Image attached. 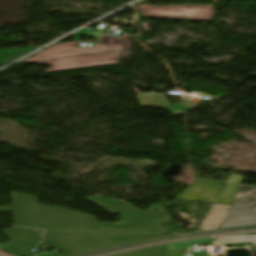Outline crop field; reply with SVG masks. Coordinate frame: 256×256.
Wrapping results in <instances>:
<instances>
[{"label":"crop field","mask_w":256,"mask_h":256,"mask_svg":"<svg viewBox=\"0 0 256 256\" xmlns=\"http://www.w3.org/2000/svg\"><path fill=\"white\" fill-rule=\"evenodd\" d=\"M12 197L13 206L0 207V212L14 211L15 223L18 226L82 230L92 229L97 220L89 214L37 204L35 197L31 195L13 192Z\"/></svg>","instance_id":"1"},{"label":"crop field","mask_w":256,"mask_h":256,"mask_svg":"<svg viewBox=\"0 0 256 256\" xmlns=\"http://www.w3.org/2000/svg\"><path fill=\"white\" fill-rule=\"evenodd\" d=\"M80 35L98 37L99 31L83 30L75 34L74 42L56 44L34 55L35 58H28L23 62L78 56V55L93 54V53H100V52H107V51H115V50H121V54H120L121 58L128 57L130 44L128 42L129 37L127 36H124V38H117V37L101 34L100 44L94 45V47H91V48H76L75 45H78L80 42L79 40Z\"/></svg>","instance_id":"2"},{"label":"crop field","mask_w":256,"mask_h":256,"mask_svg":"<svg viewBox=\"0 0 256 256\" xmlns=\"http://www.w3.org/2000/svg\"><path fill=\"white\" fill-rule=\"evenodd\" d=\"M242 178V175L230 174L223 188L216 183L199 178L177 195L176 198L230 203L240 187Z\"/></svg>","instance_id":"3"},{"label":"crop field","mask_w":256,"mask_h":256,"mask_svg":"<svg viewBox=\"0 0 256 256\" xmlns=\"http://www.w3.org/2000/svg\"><path fill=\"white\" fill-rule=\"evenodd\" d=\"M42 242L56 247L55 251L50 256H79L82 254L115 247V245L87 233L44 238ZM58 250L61 251L60 253H62V255H59L57 252ZM38 256L44 255L38 254Z\"/></svg>","instance_id":"4"},{"label":"crop field","mask_w":256,"mask_h":256,"mask_svg":"<svg viewBox=\"0 0 256 256\" xmlns=\"http://www.w3.org/2000/svg\"><path fill=\"white\" fill-rule=\"evenodd\" d=\"M120 218L121 223L98 222L94 230L161 232L154 208L145 212L123 214Z\"/></svg>","instance_id":"5"},{"label":"crop field","mask_w":256,"mask_h":256,"mask_svg":"<svg viewBox=\"0 0 256 256\" xmlns=\"http://www.w3.org/2000/svg\"><path fill=\"white\" fill-rule=\"evenodd\" d=\"M143 16L182 18L190 20H209L213 15L212 5H175L158 7L150 5H137Z\"/></svg>","instance_id":"6"},{"label":"crop field","mask_w":256,"mask_h":256,"mask_svg":"<svg viewBox=\"0 0 256 256\" xmlns=\"http://www.w3.org/2000/svg\"><path fill=\"white\" fill-rule=\"evenodd\" d=\"M118 54L119 51H115L108 53L36 62L35 64H50L52 69H48L46 70V72L64 71L100 65L116 64L118 63L115 61L118 58Z\"/></svg>","instance_id":"7"},{"label":"crop field","mask_w":256,"mask_h":256,"mask_svg":"<svg viewBox=\"0 0 256 256\" xmlns=\"http://www.w3.org/2000/svg\"><path fill=\"white\" fill-rule=\"evenodd\" d=\"M256 224V203L231 205L220 228Z\"/></svg>","instance_id":"8"},{"label":"crop field","mask_w":256,"mask_h":256,"mask_svg":"<svg viewBox=\"0 0 256 256\" xmlns=\"http://www.w3.org/2000/svg\"><path fill=\"white\" fill-rule=\"evenodd\" d=\"M96 234L118 246L141 242L152 238L163 237L162 234H143V233H112V232H88Z\"/></svg>","instance_id":"9"},{"label":"crop field","mask_w":256,"mask_h":256,"mask_svg":"<svg viewBox=\"0 0 256 256\" xmlns=\"http://www.w3.org/2000/svg\"><path fill=\"white\" fill-rule=\"evenodd\" d=\"M90 201L102 207L111 214L140 211L128 203L120 200L87 197Z\"/></svg>","instance_id":"10"},{"label":"crop field","mask_w":256,"mask_h":256,"mask_svg":"<svg viewBox=\"0 0 256 256\" xmlns=\"http://www.w3.org/2000/svg\"><path fill=\"white\" fill-rule=\"evenodd\" d=\"M229 206L230 205L212 204L199 231L219 228Z\"/></svg>","instance_id":"11"},{"label":"crop field","mask_w":256,"mask_h":256,"mask_svg":"<svg viewBox=\"0 0 256 256\" xmlns=\"http://www.w3.org/2000/svg\"><path fill=\"white\" fill-rule=\"evenodd\" d=\"M37 242H11L0 248L10 254L18 256H35L31 253Z\"/></svg>","instance_id":"12"},{"label":"crop field","mask_w":256,"mask_h":256,"mask_svg":"<svg viewBox=\"0 0 256 256\" xmlns=\"http://www.w3.org/2000/svg\"><path fill=\"white\" fill-rule=\"evenodd\" d=\"M245 242L256 243V233L217 237L213 246Z\"/></svg>","instance_id":"13"},{"label":"crop field","mask_w":256,"mask_h":256,"mask_svg":"<svg viewBox=\"0 0 256 256\" xmlns=\"http://www.w3.org/2000/svg\"><path fill=\"white\" fill-rule=\"evenodd\" d=\"M4 232L11 240H38L40 237L34 229L27 228L5 229Z\"/></svg>","instance_id":"14"},{"label":"crop field","mask_w":256,"mask_h":256,"mask_svg":"<svg viewBox=\"0 0 256 256\" xmlns=\"http://www.w3.org/2000/svg\"><path fill=\"white\" fill-rule=\"evenodd\" d=\"M113 256H168V252L166 250L165 245H163V246L147 248V249H142L137 251L120 253Z\"/></svg>","instance_id":"15"},{"label":"crop field","mask_w":256,"mask_h":256,"mask_svg":"<svg viewBox=\"0 0 256 256\" xmlns=\"http://www.w3.org/2000/svg\"><path fill=\"white\" fill-rule=\"evenodd\" d=\"M256 201V186L241 185L233 203Z\"/></svg>","instance_id":"16"},{"label":"crop field","mask_w":256,"mask_h":256,"mask_svg":"<svg viewBox=\"0 0 256 256\" xmlns=\"http://www.w3.org/2000/svg\"><path fill=\"white\" fill-rule=\"evenodd\" d=\"M33 48L0 50V64H3Z\"/></svg>","instance_id":"17"},{"label":"crop field","mask_w":256,"mask_h":256,"mask_svg":"<svg viewBox=\"0 0 256 256\" xmlns=\"http://www.w3.org/2000/svg\"><path fill=\"white\" fill-rule=\"evenodd\" d=\"M66 233H80V232H68V231H46L45 236L54 234H66Z\"/></svg>","instance_id":"18"},{"label":"crop field","mask_w":256,"mask_h":256,"mask_svg":"<svg viewBox=\"0 0 256 256\" xmlns=\"http://www.w3.org/2000/svg\"><path fill=\"white\" fill-rule=\"evenodd\" d=\"M168 252H169V256H184L182 249L171 250V251H168Z\"/></svg>","instance_id":"19"},{"label":"crop field","mask_w":256,"mask_h":256,"mask_svg":"<svg viewBox=\"0 0 256 256\" xmlns=\"http://www.w3.org/2000/svg\"><path fill=\"white\" fill-rule=\"evenodd\" d=\"M209 256H212V255H209Z\"/></svg>","instance_id":"20"}]
</instances>
